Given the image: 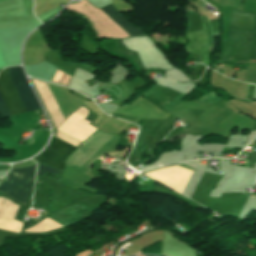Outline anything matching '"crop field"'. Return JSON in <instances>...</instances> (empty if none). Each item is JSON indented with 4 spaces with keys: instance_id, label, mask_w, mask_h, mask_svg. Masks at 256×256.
I'll use <instances>...</instances> for the list:
<instances>
[{
    "instance_id": "6",
    "label": "crop field",
    "mask_w": 256,
    "mask_h": 256,
    "mask_svg": "<svg viewBox=\"0 0 256 256\" xmlns=\"http://www.w3.org/2000/svg\"><path fill=\"white\" fill-rule=\"evenodd\" d=\"M102 9L113 21H115L119 26H121L130 36L145 35L139 29L135 28L132 24L127 22L111 4Z\"/></svg>"
},
{
    "instance_id": "2",
    "label": "crop field",
    "mask_w": 256,
    "mask_h": 256,
    "mask_svg": "<svg viewBox=\"0 0 256 256\" xmlns=\"http://www.w3.org/2000/svg\"><path fill=\"white\" fill-rule=\"evenodd\" d=\"M66 9L81 14L96 33L97 38H127L129 35L116 25L104 12L94 8L86 0L69 4Z\"/></svg>"
},
{
    "instance_id": "3",
    "label": "crop field",
    "mask_w": 256,
    "mask_h": 256,
    "mask_svg": "<svg viewBox=\"0 0 256 256\" xmlns=\"http://www.w3.org/2000/svg\"><path fill=\"white\" fill-rule=\"evenodd\" d=\"M35 167L10 170L0 185V190L12 199L24 204L31 192Z\"/></svg>"
},
{
    "instance_id": "5",
    "label": "crop field",
    "mask_w": 256,
    "mask_h": 256,
    "mask_svg": "<svg viewBox=\"0 0 256 256\" xmlns=\"http://www.w3.org/2000/svg\"><path fill=\"white\" fill-rule=\"evenodd\" d=\"M103 132L97 131L93 134L87 141H85L79 149H77L67 160V165L71 163L75 158H77L81 153H83L87 148H89L101 135ZM113 135L103 134L89 149H87L81 156H79L73 163H71L68 167L71 166H79L81 167L88 158L94 154L98 149H100L106 142H108Z\"/></svg>"
},
{
    "instance_id": "8",
    "label": "crop field",
    "mask_w": 256,
    "mask_h": 256,
    "mask_svg": "<svg viewBox=\"0 0 256 256\" xmlns=\"http://www.w3.org/2000/svg\"><path fill=\"white\" fill-rule=\"evenodd\" d=\"M242 11L256 13V0H244Z\"/></svg>"
},
{
    "instance_id": "10",
    "label": "crop field",
    "mask_w": 256,
    "mask_h": 256,
    "mask_svg": "<svg viewBox=\"0 0 256 256\" xmlns=\"http://www.w3.org/2000/svg\"><path fill=\"white\" fill-rule=\"evenodd\" d=\"M146 183V180L141 181V184Z\"/></svg>"
},
{
    "instance_id": "11",
    "label": "crop field",
    "mask_w": 256,
    "mask_h": 256,
    "mask_svg": "<svg viewBox=\"0 0 256 256\" xmlns=\"http://www.w3.org/2000/svg\"><path fill=\"white\" fill-rule=\"evenodd\" d=\"M125 175L127 176L128 174H127V173H125Z\"/></svg>"
},
{
    "instance_id": "12",
    "label": "crop field",
    "mask_w": 256,
    "mask_h": 256,
    "mask_svg": "<svg viewBox=\"0 0 256 256\" xmlns=\"http://www.w3.org/2000/svg\"><path fill=\"white\" fill-rule=\"evenodd\" d=\"M251 196H253V195H251ZM253 197H256V196H253Z\"/></svg>"
},
{
    "instance_id": "9",
    "label": "crop field",
    "mask_w": 256,
    "mask_h": 256,
    "mask_svg": "<svg viewBox=\"0 0 256 256\" xmlns=\"http://www.w3.org/2000/svg\"><path fill=\"white\" fill-rule=\"evenodd\" d=\"M44 172H48V173H51V174H59L61 171H58V170L52 169L50 167L43 166V165L39 164L37 176L43 175Z\"/></svg>"
},
{
    "instance_id": "1",
    "label": "crop field",
    "mask_w": 256,
    "mask_h": 256,
    "mask_svg": "<svg viewBox=\"0 0 256 256\" xmlns=\"http://www.w3.org/2000/svg\"><path fill=\"white\" fill-rule=\"evenodd\" d=\"M7 71L27 111L30 112V111L41 109L22 71V68L21 67L7 68ZM0 91L12 116L26 112L5 69L2 70L0 73ZM1 94H0V114H2L5 117H9L11 115L5 105V102Z\"/></svg>"
},
{
    "instance_id": "7",
    "label": "crop field",
    "mask_w": 256,
    "mask_h": 256,
    "mask_svg": "<svg viewBox=\"0 0 256 256\" xmlns=\"http://www.w3.org/2000/svg\"><path fill=\"white\" fill-rule=\"evenodd\" d=\"M229 11L230 8L221 7V14L223 18L222 41H227Z\"/></svg>"
},
{
    "instance_id": "13",
    "label": "crop field",
    "mask_w": 256,
    "mask_h": 256,
    "mask_svg": "<svg viewBox=\"0 0 256 256\" xmlns=\"http://www.w3.org/2000/svg\"><path fill=\"white\" fill-rule=\"evenodd\" d=\"M135 167H137V166H135ZM137 168H139V167H137Z\"/></svg>"
},
{
    "instance_id": "4",
    "label": "crop field",
    "mask_w": 256,
    "mask_h": 256,
    "mask_svg": "<svg viewBox=\"0 0 256 256\" xmlns=\"http://www.w3.org/2000/svg\"><path fill=\"white\" fill-rule=\"evenodd\" d=\"M75 149V147L55 138L50 147L33 160L63 170L64 161Z\"/></svg>"
},
{
    "instance_id": "14",
    "label": "crop field",
    "mask_w": 256,
    "mask_h": 256,
    "mask_svg": "<svg viewBox=\"0 0 256 256\" xmlns=\"http://www.w3.org/2000/svg\"><path fill=\"white\" fill-rule=\"evenodd\" d=\"M138 183V182H137Z\"/></svg>"
}]
</instances>
